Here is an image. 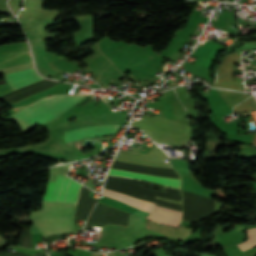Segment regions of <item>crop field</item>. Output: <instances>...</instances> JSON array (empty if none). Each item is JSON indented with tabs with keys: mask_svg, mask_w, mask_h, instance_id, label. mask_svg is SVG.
<instances>
[{
	"mask_svg": "<svg viewBox=\"0 0 256 256\" xmlns=\"http://www.w3.org/2000/svg\"><path fill=\"white\" fill-rule=\"evenodd\" d=\"M83 185L62 175L47 182L42 200L77 203ZM77 204L42 201L41 210L30 212L29 219L44 237L72 231Z\"/></svg>",
	"mask_w": 256,
	"mask_h": 256,
	"instance_id": "crop-field-1",
	"label": "crop field"
},
{
	"mask_svg": "<svg viewBox=\"0 0 256 256\" xmlns=\"http://www.w3.org/2000/svg\"><path fill=\"white\" fill-rule=\"evenodd\" d=\"M86 95L52 96L24 108L9 119L18 123L24 134L55 118Z\"/></svg>",
	"mask_w": 256,
	"mask_h": 256,
	"instance_id": "crop-field-2",
	"label": "crop field"
},
{
	"mask_svg": "<svg viewBox=\"0 0 256 256\" xmlns=\"http://www.w3.org/2000/svg\"><path fill=\"white\" fill-rule=\"evenodd\" d=\"M102 195L109 196L113 199L125 202L135 208H138L142 211H149V219L173 226L178 228L179 222L181 220L180 211L167 209L159 206H155L152 202L141 201L130 197L128 195L116 193L109 190H103Z\"/></svg>",
	"mask_w": 256,
	"mask_h": 256,
	"instance_id": "crop-field-3",
	"label": "crop field"
},
{
	"mask_svg": "<svg viewBox=\"0 0 256 256\" xmlns=\"http://www.w3.org/2000/svg\"><path fill=\"white\" fill-rule=\"evenodd\" d=\"M118 127L119 125H100L65 129L64 138L69 142L92 136L113 135Z\"/></svg>",
	"mask_w": 256,
	"mask_h": 256,
	"instance_id": "crop-field-4",
	"label": "crop field"
},
{
	"mask_svg": "<svg viewBox=\"0 0 256 256\" xmlns=\"http://www.w3.org/2000/svg\"><path fill=\"white\" fill-rule=\"evenodd\" d=\"M4 76L6 81L13 88V90L44 79L35 72L34 68L11 73V74H6Z\"/></svg>",
	"mask_w": 256,
	"mask_h": 256,
	"instance_id": "crop-field-5",
	"label": "crop field"
},
{
	"mask_svg": "<svg viewBox=\"0 0 256 256\" xmlns=\"http://www.w3.org/2000/svg\"><path fill=\"white\" fill-rule=\"evenodd\" d=\"M108 174L113 176L149 181V182L157 183V184L168 186V187H175L178 189L180 185V180L136 174V173L122 171V170L110 169Z\"/></svg>",
	"mask_w": 256,
	"mask_h": 256,
	"instance_id": "crop-field-6",
	"label": "crop field"
},
{
	"mask_svg": "<svg viewBox=\"0 0 256 256\" xmlns=\"http://www.w3.org/2000/svg\"><path fill=\"white\" fill-rule=\"evenodd\" d=\"M248 240L244 243L239 244V247L245 251L256 246V228L249 229L247 231Z\"/></svg>",
	"mask_w": 256,
	"mask_h": 256,
	"instance_id": "crop-field-7",
	"label": "crop field"
},
{
	"mask_svg": "<svg viewBox=\"0 0 256 256\" xmlns=\"http://www.w3.org/2000/svg\"><path fill=\"white\" fill-rule=\"evenodd\" d=\"M252 227H256V225H255V226H252ZM252 227H249V228H252ZM249 228H248V229H249Z\"/></svg>",
	"mask_w": 256,
	"mask_h": 256,
	"instance_id": "crop-field-8",
	"label": "crop field"
},
{
	"mask_svg": "<svg viewBox=\"0 0 256 256\" xmlns=\"http://www.w3.org/2000/svg\"><path fill=\"white\" fill-rule=\"evenodd\" d=\"M98 226H100V225H98Z\"/></svg>",
	"mask_w": 256,
	"mask_h": 256,
	"instance_id": "crop-field-9",
	"label": "crop field"
}]
</instances>
